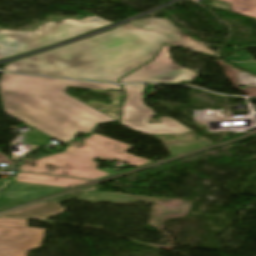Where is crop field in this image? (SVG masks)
<instances>
[{"label":"crop field","instance_id":"crop-field-4","mask_svg":"<svg viewBox=\"0 0 256 256\" xmlns=\"http://www.w3.org/2000/svg\"><path fill=\"white\" fill-rule=\"evenodd\" d=\"M64 19L62 23L51 20ZM40 24L37 31L18 32L0 30V59L67 40L74 36L112 24L96 16L84 20L56 17Z\"/></svg>","mask_w":256,"mask_h":256},{"label":"crop field","instance_id":"crop-field-10","mask_svg":"<svg viewBox=\"0 0 256 256\" xmlns=\"http://www.w3.org/2000/svg\"><path fill=\"white\" fill-rule=\"evenodd\" d=\"M228 2L234 12L256 17V0H221Z\"/></svg>","mask_w":256,"mask_h":256},{"label":"crop field","instance_id":"crop-field-3","mask_svg":"<svg viewBox=\"0 0 256 256\" xmlns=\"http://www.w3.org/2000/svg\"><path fill=\"white\" fill-rule=\"evenodd\" d=\"M80 143L85 145L81 149L68 146L63 153L35 160L37 167L20 165L18 170L96 179L111 173L97 170V163L92 161L93 158H99L109 162L117 159L135 167L152 162L125 153L132 146L125 145L95 133ZM119 151H123L124 154L118 153ZM45 164H50L58 168L54 173H49V171L45 169Z\"/></svg>","mask_w":256,"mask_h":256},{"label":"crop field","instance_id":"crop-field-2","mask_svg":"<svg viewBox=\"0 0 256 256\" xmlns=\"http://www.w3.org/2000/svg\"><path fill=\"white\" fill-rule=\"evenodd\" d=\"M67 86L121 90L120 85L86 83L3 73L0 93L5 114L65 143L78 132L114 119L64 94Z\"/></svg>","mask_w":256,"mask_h":256},{"label":"crop field","instance_id":"crop-field-13","mask_svg":"<svg viewBox=\"0 0 256 256\" xmlns=\"http://www.w3.org/2000/svg\"><path fill=\"white\" fill-rule=\"evenodd\" d=\"M238 79H239V85L256 86V77L249 73H239Z\"/></svg>","mask_w":256,"mask_h":256},{"label":"crop field","instance_id":"crop-field-8","mask_svg":"<svg viewBox=\"0 0 256 256\" xmlns=\"http://www.w3.org/2000/svg\"><path fill=\"white\" fill-rule=\"evenodd\" d=\"M60 205L61 204H57V203L43 202L37 205L29 206L21 210L3 214L0 216L38 218V219L45 220L60 212L65 211L63 207H60Z\"/></svg>","mask_w":256,"mask_h":256},{"label":"crop field","instance_id":"crop-field-12","mask_svg":"<svg viewBox=\"0 0 256 256\" xmlns=\"http://www.w3.org/2000/svg\"><path fill=\"white\" fill-rule=\"evenodd\" d=\"M230 61H253L251 56L227 57ZM232 63V62H231ZM256 75V63H233Z\"/></svg>","mask_w":256,"mask_h":256},{"label":"crop field","instance_id":"crop-field-11","mask_svg":"<svg viewBox=\"0 0 256 256\" xmlns=\"http://www.w3.org/2000/svg\"><path fill=\"white\" fill-rule=\"evenodd\" d=\"M204 141L185 142V143H174L165 145V148L171 156L206 145Z\"/></svg>","mask_w":256,"mask_h":256},{"label":"crop field","instance_id":"crop-field-15","mask_svg":"<svg viewBox=\"0 0 256 256\" xmlns=\"http://www.w3.org/2000/svg\"><path fill=\"white\" fill-rule=\"evenodd\" d=\"M211 7H215V8H219V9H222V10H225V11H229V6L227 3H223V2H220V1H216L214 0L213 2L210 3Z\"/></svg>","mask_w":256,"mask_h":256},{"label":"crop field","instance_id":"crop-field-16","mask_svg":"<svg viewBox=\"0 0 256 256\" xmlns=\"http://www.w3.org/2000/svg\"><path fill=\"white\" fill-rule=\"evenodd\" d=\"M0 163L13 164V162L9 161L5 155L0 153Z\"/></svg>","mask_w":256,"mask_h":256},{"label":"crop field","instance_id":"crop-field-6","mask_svg":"<svg viewBox=\"0 0 256 256\" xmlns=\"http://www.w3.org/2000/svg\"><path fill=\"white\" fill-rule=\"evenodd\" d=\"M27 220L0 219V256H25L38 248L46 229L30 228Z\"/></svg>","mask_w":256,"mask_h":256},{"label":"crop field","instance_id":"crop-field-17","mask_svg":"<svg viewBox=\"0 0 256 256\" xmlns=\"http://www.w3.org/2000/svg\"><path fill=\"white\" fill-rule=\"evenodd\" d=\"M9 182H6V181H0V189L2 187H4L6 184H8Z\"/></svg>","mask_w":256,"mask_h":256},{"label":"crop field","instance_id":"crop-field-9","mask_svg":"<svg viewBox=\"0 0 256 256\" xmlns=\"http://www.w3.org/2000/svg\"><path fill=\"white\" fill-rule=\"evenodd\" d=\"M14 180L30 182V183H38L59 187L71 188L86 182L89 180H81V179H72V178H64V177H56V176H47V175H39V174H30V173H22L17 172Z\"/></svg>","mask_w":256,"mask_h":256},{"label":"crop field","instance_id":"crop-field-1","mask_svg":"<svg viewBox=\"0 0 256 256\" xmlns=\"http://www.w3.org/2000/svg\"><path fill=\"white\" fill-rule=\"evenodd\" d=\"M184 34L164 19L152 30L124 25L12 63L17 73L117 83L119 77L152 59L161 43L216 55Z\"/></svg>","mask_w":256,"mask_h":256},{"label":"crop field","instance_id":"crop-field-7","mask_svg":"<svg viewBox=\"0 0 256 256\" xmlns=\"http://www.w3.org/2000/svg\"><path fill=\"white\" fill-rule=\"evenodd\" d=\"M169 46H162L155 60L120 79L126 82L177 83L192 81L193 73L176 63L167 53Z\"/></svg>","mask_w":256,"mask_h":256},{"label":"crop field","instance_id":"crop-field-14","mask_svg":"<svg viewBox=\"0 0 256 256\" xmlns=\"http://www.w3.org/2000/svg\"><path fill=\"white\" fill-rule=\"evenodd\" d=\"M18 203H22V202L0 198V209L8 207V206L15 205V204H18Z\"/></svg>","mask_w":256,"mask_h":256},{"label":"crop field","instance_id":"crop-field-5","mask_svg":"<svg viewBox=\"0 0 256 256\" xmlns=\"http://www.w3.org/2000/svg\"><path fill=\"white\" fill-rule=\"evenodd\" d=\"M122 86L127 93L122 109V125L144 134H184L191 131L172 118H160L161 124H147L155 113L145 105L142 98L146 85Z\"/></svg>","mask_w":256,"mask_h":256},{"label":"crop field","instance_id":"crop-field-18","mask_svg":"<svg viewBox=\"0 0 256 256\" xmlns=\"http://www.w3.org/2000/svg\"><path fill=\"white\" fill-rule=\"evenodd\" d=\"M7 65V64H6ZM5 71H8L10 72V68H9V65L6 66V68L4 69Z\"/></svg>","mask_w":256,"mask_h":256}]
</instances>
